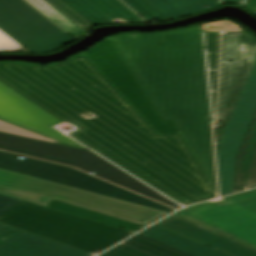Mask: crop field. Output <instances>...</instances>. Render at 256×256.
<instances>
[{
  "mask_svg": "<svg viewBox=\"0 0 256 256\" xmlns=\"http://www.w3.org/2000/svg\"><path fill=\"white\" fill-rule=\"evenodd\" d=\"M24 1L0 0V29L29 52L53 51L75 40Z\"/></svg>",
  "mask_w": 256,
  "mask_h": 256,
  "instance_id": "obj_9",
  "label": "crop field"
},
{
  "mask_svg": "<svg viewBox=\"0 0 256 256\" xmlns=\"http://www.w3.org/2000/svg\"><path fill=\"white\" fill-rule=\"evenodd\" d=\"M94 25L113 24V20L124 23H143L134 12L119 0H63Z\"/></svg>",
  "mask_w": 256,
  "mask_h": 256,
  "instance_id": "obj_15",
  "label": "crop field"
},
{
  "mask_svg": "<svg viewBox=\"0 0 256 256\" xmlns=\"http://www.w3.org/2000/svg\"><path fill=\"white\" fill-rule=\"evenodd\" d=\"M155 225L202 244L215 246L220 252L231 256H256V251L174 215L156 223Z\"/></svg>",
  "mask_w": 256,
  "mask_h": 256,
  "instance_id": "obj_14",
  "label": "crop field"
},
{
  "mask_svg": "<svg viewBox=\"0 0 256 256\" xmlns=\"http://www.w3.org/2000/svg\"><path fill=\"white\" fill-rule=\"evenodd\" d=\"M0 119L70 144L81 147L51 126L61 123L39 107L0 83Z\"/></svg>",
  "mask_w": 256,
  "mask_h": 256,
  "instance_id": "obj_12",
  "label": "crop field"
},
{
  "mask_svg": "<svg viewBox=\"0 0 256 256\" xmlns=\"http://www.w3.org/2000/svg\"><path fill=\"white\" fill-rule=\"evenodd\" d=\"M84 54L160 135L180 132L175 120H164L110 38Z\"/></svg>",
  "mask_w": 256,
  "mask_h": 256,
  "instance_id": "obj_8",
  "label": "crop field"
},
{
  "mask_svg": "<svg viewBox=\"0 0 256 256\" xmlns=\"http://www.w3.org/2000/svg\"><path fill=\"white\" fill-rule=\"evenodd\" d=\"M225 3H237L238 0H224Z\"/></svg>",
  "mask_w": 256,
  "mask_h": 256,
  "instance_id": "obj_32",
  "label": "crop field"
},
{
  "mask_svg": "<svg viewBox=\"0 0 256 256\" xmlns=\"http://www.w3.org/2000/svg\"><path fill=\"white\" fill-rule=\"evenodd\" d=\"M174 215L256 250V189Z\"/></svg>",
  "mask_w": 256,
  "mask_h": 256,
  "instance_id": "obj_6",
  "label": "crop field"
},
{
  "mask_svg": "<svg viewBox=\"0 0 256 256\" xmlns=\"http://www.w3.org/2000/svg\"><path fill=\"white\" fill-rule=\"evenodd\" d=\"M46 1H48L51 5H53L55 8H57L59 11H61L63 14H65L67 17H69L71 20H73L82 28H90L94 26L62 0H46Z\"/></svg>",
  "mask_w": 256,
  "mask_h": 256,
  "instance_id": "obj_25",
  "label": "crop field"
},
{
  "mask_svg": "<svg viewBox=\"0 0 256 256\" xmlns=\"http://www.w3.org/2000/svg\"><path fill=\"white\" fill-rule=\"evenodd\" d=\"M226 60L232 62L226 63ZM256 61V38L242 32L223 35L221 86L218 121H223L218 138L220 143L242 90Z\"/></svg>",
  "mask_w": 256,
  "mask_h": 256,
  "instance_id": "obj_10",
  "label": "crop field"
},
{
  "mask_svg": "<svg viewBox=\"0 0 256 256\" xmlns=\"http://www.w3.org/2000/svg\"><path fill=\"white\" fill-rule=\"evenodd\" d=\"M0 194L43 206L55 198L145 226L167 214L1 169Z\"/></svg>",
  "mask_w": 256,
  "mask_h": 256,
  "instance_id": "obj_4",
  "label": "crop field"
},
{
  "mask_svg": "<svg viewBox=\"0 0 256 256\" xmlns=\"http://www.w3.org/2000/svg\"><path fill=\"white\" fill-rule=\"evenodd\" d=\"M246 6L256 14V0H248Z\"/></svg>",
  "mask_w": 256,
  "mask_h": 256,
  "instance_id": "obj_30",
  "label": "crop field"
},
{
  "mask_svg": "<svg viewBox=\"0 0 256 256\" xmlns=\"http://www.w3.org/2000/svg\"><path fill=\"white\" fill-rule=\"evenodd\" d=\"M163 173L175 180L202 201L217 197L186 167L163 171Z\"/></svg>",
  "mask_w": 256,
  "mask_h": 256,
  "instance_id": "obj_21",
  "label": "crop field"
},
{
  "mask_svg": "<svg viewBox=\"0 0 256 256\" xmlns=\"http://www.w3.org/2000/svg\"><path fill=\"white\" fill-rule=\"evenodd\" d=\"M0 150L71 165L166 204L179 208L89 150L0 133Z\"/></svg>",
  "mask_w": 256,
  "mask_h": 256,
  "instance_id": "obj_5",
  "label": "crop field"
},
{
  "mask_svg": "<svg viewBox=\"0 0 256 256\" xmlns=\"http://www.w3.org/2000/svg\"><path fill=\"white\" fill-rule=\"evenodd\" d=\"M100 256H152V255L146 254L144 252H141L139 250H136L134 248L121 244L101 254Z\"/></svg>",
  "mask_w": 256,
  "mask_h": 256,
  "instance_id": "obj_26",
  "label": "crop field"
},
{
  "mask_svg": "<svg viewBox=\"0 0 256 256\" xmlns=\"http://www.w3.org/2000/svg\"><path fill=\"white\" fill-rule=\"evenodd\" d=\"M140 234L194 256H228L223 253L217 252L218 250L215 251L205 245L171 233L155 225L149 227Z\"/></svg>",
  "mask_w": 256,
  "mask_h": 256,
  "instance_id": "obj_18",
  "label": "crop field"
},
{
  "mask_svg": "<svg viewBox=\"0 0 256 256\" xmlns=\"http://www.w3.org/2000/svg\"><path fill=\"white\" fill-rule=\"evenodd\" d=\"M256 108V63L216 151L220 195L232 193L235 154Z\"/></svg>",
  "mask_w": 256,
  "mask_h": 256,
  "instance_id": "obj_11",
  "label": "crop field"
},
{
  "mask_svg": "<svg viewBox=\"0 0 256 256\" xmlns=\"http://www.w3.org/2000/svg\"><path fill=\"white\" fill-rule=\"evenodd\" d=\"M217 1H218V4H219V5L224 3L223 0H217Z\"/></svg>",
  "mask_w": 256,
  "mask_h": 256,
  "instance_id": "obj_33",
  "label": "crop field"
},
{
  "mask_svg": "<svg viewBox=\"0 0 256 256\" xmlns=\"http://www.w3.org/2000/svg\"><path fill=\"white\" fill-rule=\"evenodd\" d=\"M0 82L65 123L62 131L176 202L186 205L200 200L143 162L117 140L148 136L142 126L212 190L182 133L160 136L84 54L49 66L0 63ZM86 111L97 116L86 120L79 115Z\"/></svg>",
  "mask_w": 256,
  "mask_h": 256,
  "instance_id": "obj_1",
  "label": "crop field"
},
{
  "mask_svg": "<svg viewBox=\"0 0 256 256\" xmlns=\"http://www.w3.org/2000/svg\"><path fill=\"white\" fill-rule=\"evenodd\" d=\"M118 142L158 171L184 167L151 136Z\"/></svg>",
  "mask_w": 256,
  "mask_h": 256,
  "instance_id": "obj_17",
  "label": "crop field"
},
{
  "mask_svg": "<svg viewBox=\"0 0 256 256\" xmlns=\"http://www.w3.org/2000/svg\"><path fill=\"white\" fill-rule=\"evenodd\" d=\"M0 168L150 208L174 210L73 168L20 155L0 151Z\"/></svg>",
  "mask_w": 256,
  "mask_h": 256,
  "instance_id": "obj_7",
  "label": "crop field"
},
{
  "mask_svg": "<svg viewBox=\"0 0 256 256\" xmlns=\"http://www.w3.org/2000/svg\"><path fill=\"white\" fill-rule=\"evenodd\" d=\"M124 244L154 256H191L140 234L126 240Z\"/></svg>",
  "mask_w": 256,
  "mask_h": 256,
  "instance_id": "obj_22",
  "label": "crop field"
},
{
  "mask_svg": "<svg viewBox=\"0 0 256 256\" xmlns=\"http://www.w3.org/2000/svg\"><path fill=\"white\" fill-rule=\"evenodd\" d=\"M169 20L218 7L216 0H146ZM208 5L209 8L204 6Z\"/></svg>",
  "mask_w": 256,
  "mask_h": 256,
  "instance_id": "obj_19",
  "label": "crop field"
},
{
  "mask_svg": "<svg viewBox=\"0 0 256 256\" xmlns=\"http://www.w3.org/2000/svg\"><path fill=\"white\" fill-rule=\"evenodd\" d=\"M135 11H137L147 21L158 19L160 21H168L161 13L152 7L145 0H123Z\"/></svg>",
  "mask_w": 256,
  "mask_h": 256,
  "instance_id": "obj_23",
  "label": "crop field"
},
{
  "mask_svg": "<svg viewBox=\"0 0 256 256\" xmlns=\"http://www.w3.org/2000/svg\"><path fill=\"white\" fill-rule=\"evenodd\" d=\"M65 124L61 123L59 125L53 126L55 129L59 130L60 132H62L59 128L63 127ZM63 134H65L66 136L70 137L71 139H73L74 141H76L77 143H79L80 145L84 146L85 148L89 149V147H87L86 145L82 144L81 142L77 141L76 139L72 138L71 136L67 135L66 133L62 132Z\"/></svg>",
  "mask_w": 256,
  "mask_h": 256,
  "instance_id": "obj_29",
  "label": "crop field"
},
{
  "mask_svg": "<svg viewBox=\"0 0 256 256\" xmlns=\"http://www.w3.org/2000/svg\"><path fill=\"white\" fill-rule=\"evenodd\" d=\"M0 222L93 255L133 233L24 201L0 214Z\"/></svg>",
  "mask_w": 256,
  "mask_h": 256,
  "instance_id": "obj_3",
  "label": "crop field"
},
{
  "mask_svg": "<svg viewBox=\"0 0 256 256\" xmlns=\"http://www.w3.org/2000/svg\"><path fill=\"white\" fill-rule=\"evenodd\" d=\"M165 120L177 119L217 192L210 118L215 119L220 31L200 25L111 38Z\"/></svg>",
  "mask_w": 256,
  "mask_h": 256,
  "instance_id": "obj_2",
  "label": "crop field"
},
{
  "mask_svg": "<svg viewBox=\"0 0 256 256\" xmlns=\"http://www.w3.org/2000/svg\"><path fill=\"white\" fill-rule=\"evenodd\" d=\"M47 207L54 208L60 211H64L70 214L78 215L81 217L89 218L98 222H102L111 226L119 227L130 231H138L145 226L138 225L132 222H128L122 219H118L112 216H108L102 213H98L92 210H88L82 207H78L72 204H68L62 201L53 199Z\"/></svg>",
  "mask_w": 256,
  "mask_h": 256,
  "instance_id": "obj_20",
  "label": "crop field"
},
{
  "mask_svg": "<svg viewBox=\"0 0 256 256\" xmlns=\"http://www.w3.org/2000/svg\"><path fill=\"white\" fill-rule=\"evenodd\" d=\"M0 132L40 139V140H45V141H50L55 143H61L59 141L53 140L51 138L45 137L43 135L37 134L35 132L29 131L27 129L5 122L3 120H0ZM61 144H64V143H61Z\"/></svg>",
  "mask_w": 256,
  "mask_h": 256,
  "instance_id": "obj_24",
  "label": "crop field"
},
{
  "mask_svg": "<svg viewBox=\"0 0 256 256\" xmlns=\"http://www.w3.org/2000/svg\"><path fill=\"white\" fill-rule=\"evenodd\" d=\"M22 46L7 36L0 30V50H7V52L17 51Z\"/></svg>",
  "mask_w": 256,
  "mask_h": 256,
  "instance_id": "obj_27",
  "label": "crop field"
},
{
  "mask_svg": "<svg viewBox=\"0 0 256 256\" xmlns=\"http://www.w3.org/2000/svg\"><path fill=\"white\" fill-rule=\"evenodd\" d=\"M81 116H83V117L89 119V118L95 116V114L92 113V112H86V113L82 114Z\"/></svg>",
  "mask_w": 256,
  "mask_h": 256,
  "instance_id": "obj_31",
  "label": "crop field"
},
{
  "mask_svg": "<svg viewBox=\"0 0 256 256\" xmlns=\"http://www.w3.org/2000/svg\"><path fill=\"white\" fill-rule=\"evenodd\" d=\"M256 186V111L236 154L233 193Z\"/></svg>",
  "mask_w": 256,
  "mask_h": 256,
  "instance_id": "obj_16",
  "label": "crop field"
},
{
  "mask_svg": "<svg viewBox=\"0 0 256 256\" xmlns=\"http://www.w3.org/2000/svg\"><path fill=\"white\" fill-rule=\"evenodd\" d=\"M0 256H93L0 223Z\"/></svg>",
  "mask_w": 256,
  "mask_h": 256,
  "instance_id": "obj_13",
  "label": "crop field"
},
{
  "mask_svg": "<svg viewBox=\"0 0 256 256\" xmlns=\"http://www.w3.org/2000/svg\"><path fill=\"white\" fill-rule=\"evenodd\" d=\"M21 200L13 199L10 197H6L0 195V213L4 212L5 210L9 209L10 207L14 206Z\"/></svg>",
  "mask_w": 256,
  "mask_h": 256,
  "instance_id": "obj_28",
  "label": "crop field"
}]
</instances>
